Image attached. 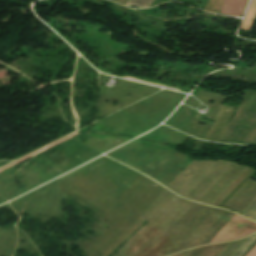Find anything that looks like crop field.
Returning <instances> with one entry per match:
<instances>
[{"mask_svg": "<svg viewBox=\"0 0 256 256\" xmlns=\"http://www.w3.org/2000/svg\"><path fill=\"white\" fill-rule=\"evenodd\" d=\"M256 231V224L249 220L235 215L210 242L230 241L244 237Z\"/></svg>", "mask_w": 256, "mask_h": 256, "instance_id": "crop-field-1", "label": "crop field"}, {"mask_svg": "<svg viewBox=\"0 0 256 256\" xmlns=\"http://www.w3.org/2000/svg\"><path fill=\"white\" fill-rule=\"evenodd\" d=\"M248 0H226L221 13L241 16Z\"/></svg>", "mask_w": 256, "mask_h": 256, "instance_id": "crop-field-2", "label": "crop field"}, {"mask_svg": "<svg viewBox=\"0 0 256 256\" xmlns=\"http://www.w3.org/2000/svg\"><path fill=\"white\" fill-rule=\"evenodd\" d=\"M256 16V0H251L247 13L245 15L243 24L241 26L242 29H250L251 23Z\"/></svg>", "mask_w": 256, "mask_h": 256, "instance_id": "crop-field-3", "label": "crop field"}, {"mask_svg": "<svg viewBox=\"0 0 256 256\" xmlns=\"http://www.w3.org/2000/svg\"><path fill=\"white\" fill-rule=\"evenodd\" d=\"M247 256H256V246L251 250Z\"/></svg>", "mask_w": 256, "mask_h": 256, "instance_id": "crop-field-4", "label": "crop field"}]
</instances>
